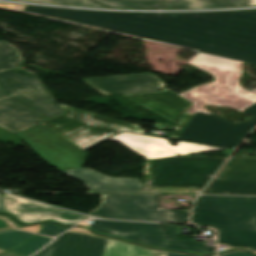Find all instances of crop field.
Here are the masks:
<instances>
[{"label":"crop field","mask_w":256,"mask_h":256,"mask_svg":"<svg viewBox=\"0 0 256 256\" xmlns=\"http://www.w3.org/2000/svg\"><path fill=\"white\" fill-rule=\"evenodd\" d=\"M22 13L199 52L190 62L256 64V10L138 14L27 6Z\"/></svg>","instance_id":"obj_1"},{"label":"crop field","mask_w":256,"mask_h":256,"mask_svg":"<svg viewBox=\"0 0 256 256\" xmlns=\"http://www.w3.org/2000/svg\"><path fill=\"white\" fill-rule=\"evenodd\" d=\"M192 222L216 228L219 244L256 248V197L202 196Z\"/></svg>","instance_id":"obj_2"},{"label":"crop field","mask_w":256,"mask_h":256,"mask_svg":"<svg viewBox=\"0 0 256 256\" xmlns=\"http://www.w3.org/2000/svg\"><path fill=\"white\" fill-rule=\"evenodd\" d=\"M65 113L40 125L82 150H87L123 131L143 134L145 129L97 114L60 105Z\"/></svg>","instance_id":"obj_3"},{"label":"crop field","mask_w":256,"mask_h":256,"mask_svg":"<svg viewBox=\"0 0 256 256\" xmlns=\"http://www.w3.org/2000/svg\"><path fill=\"white\" fill-rule=\"evenodd\" d=\"M70 231V230H69ZM34 256H196L146 249L140 246L100 237L83 228L54 239Z\"/></svg>","instance_id":"obj_4"},{"label":"crop field","mask_w":256,"mask_h":256,"mask_svg":"<svg viewBox=\"0 0 256 256\" xmlns=\"http://www.w3.org/2000/svg\"><path fill=\"white\" fill-rule=\"evenodd\" d=\"M101 194V205L88 215L117 220L184 223L190 211L159 208L160 194L87 192Z\"/></svg>","instance_id":"obj_5"},{"label":"crop field","mask_w":256,"mask_h":256,"mask_svg":"<svg viewBox=\"0 0 256 256\" xmlns=\"http://www.w3.org/2000/svg\"><path fill=\"white\" fill-rule=\"evenodd\" d=\"M226 158L169 157L149 160L151 184L165 187L204 188Z\"/></svg>","instance_id":"obj_6"},{"label":"crop field","mask_w":256,"mask_h":256,"mask_svg":"<svg viewBox=\"0 0 256 256\" xmlns=\"http://www.w3.org/2000/svg\"><path fill=\"white\" fill-rule=\"evenodd\" d=\"M87 225L93 230L106 235L121 237L124 239L174 250L209 253L215 251V247H206V242H196L192 239L178 240L175 225L163 224L169 235V239L161 228L160 224L123 222L109 220H93Z\"/></svg>","instance_id":"obj_7"},{"label":"crop field","mask_w":256,"mask_h":256,"mask_svg":"<svg viewBox=\"0 0 256 256\" xmlns=\"http://www.w3.org/2000/svg\"><path fill=\"white\" fill-rule=\"evenodd\" d=\"M190 64L214 74L216 80L210 84L199 86L183 95L180 94L193 102L188 113L195 114L196 111L209 113L202 105H226L242 111L256 102V94L246 92L239 87L243 63L237 62L234 72L210 66Z\"/></svg>","instance_id":"obj_8"},{"label":"crop field","mask_w":256,"mask_h":256,"mask_svg":"<svg viewBox=\"0 0 256 256\" xmlns=\"http://www.w3.org/2000/svg\"><path fill=\"white\" fill-rule=\"evenodd\" d=\"M243 112L252 117L240 124H234L218 116L196 112L178 139L219 147L238 146L249 130L256 125V103L244 109Z\"/></svg>","instance_id":"obj_9"},{"label":"crop field","mask_w":256,"mask_h":256,"mask_svg":"<svg viewBox=\"0 0 256 256\" xmlns=\"http://www.w3.org/2000/svg\"><path fill=\"white\" fill-rule=\"evenodd\" d=\"M0 86L11 98L51 119L63 111L31 71L11 69L0 72Z\"/></svg>","instance_id":"obj_10"},{"label":"crop field","mask_w":256,"mask_h":256,"mask_svg":"<svg viewBox=\"0 0 256 256\" xmlns=\"http://www.w3.org/2000/svg\"><path fill=\"white\" fill-rule=\"evenodd\" d=\"M17 135L58 170L82 167L88 154L39 124Z\"/></svg>","instance_id":"obj_11"},{"label":"crop field","mask_w":256,"mask_h":256,"mask_svg":"<svg viewBox=\"0 0 256 256\" xmlns=\"http://www.w3.org/2000/svg\"><path fill=\"white\" fill-rule=\"evenodd\" d=\"M41 3L125 8L194 9L256 6V0H22Z\"/></svg>","instance_id":"obj_12"},{"label":"crop field","mask_w":256,"mask_h":256,"mask_svg":"<svg viewBox=\"0 0 256 256\" xmlns=\"http://www.w3.org/2000/svg\"><path fill=\"white\" fill-rule=\"evenodd\" d=\"M141 106L175 122L177 125L172 127L167 124L156 123L154 128L162 130H174L170 138L177 139L182 130L193 117L186 113L190 107V101L180 97L174 92L164 88L162 92L128 94L124 95Z\"/></svg>","instance_id":"obj_13"},{"label":"crop field","mask_w":256,"mask_h":256,"mask_svg":"<svg viewBox=\"0 0 256 256\" xmlns=\"http://www.w3.org/2000/svg\"><path fill=\"white\" fill-rule=\"evenodd\" d=\"M203 194L256 195V157H231Z\"/></svg>","instance_id":"obj_14"},{"label":"crop field","mask_w":256,"mask_h":256,"mask_svg":"<svg viewBox=\"0 0 256 256\" xmlns=\"http://www.w3.org/2000/svg\"><path fill=\"white\" fill-rule=\"evenodd\" d=\"M110 140H116L133 150L145 159L169 157L181 154L196 153L221 148L178 141L171 146L167 139L123 132Z\"/></svg>","instance_id":"obj_15"},{"label":"crop field","mask_w":256,"mask_h":256,"mask_svg":"<svg viewBox=\"0 0 256 256\" xmlns=\"http://www.w3.org/2000/svg\"><path fill=\"white\" fill-rule=\"evenodd\" d=\"M6 209L23 223L53 220L63 225L72 224L89 218L86 215L58 209L23 198L6 194L3 196Z\"/></svg>","instance_id":"obj_16"},{"label":"crop field","mask_w":256,"mask_h":256,"mask_svg":"<svg viewBox=\"0 0 256 256\" xmlns=\"http://www.w3.org/2000/svg\"><path fill=\"white\" fill-rule=\"evenodd\" d=\"M103 94L117 95L162 91L165 84L152 73L82 80Z\"/></svg>","instance_id":"obj_17"},{"label":"crop field","mask_w":256,"mask_h":256,"mask_svg":"<svg viewBox=\"0 0 256 256\" xmlns=\"http://www.w3.org/2000/svg\"><path fill=\"white\" fill-rule=\"evenodd\" d=\"M62 173L83 182L90 191L140 192L142 187L138 179L107 177L89 168L66 170Z\"/></svg>","instance_id":"obj_18"},{"label":"crop field","mask_w":256,"mask_h":256,"mask_svg":"<svg viewBox=\"0 0 256 256\" xmlns=\"http://www.w3.org/2000/svg\"><path fill=\"white\" fill-rule=\"evenodd\" d=\"M47 121L6 96L0 88V125L17 133L37 123Z\"/></svg>","instance_id":"obj_19"},{"label":"crop field","mask_w":256,"mask_h":256,"mask_svg":"<svg viewBox=\"0 0 256 256\" xmlns=\"http://www.w3.org/2000/svg\"><path fill=\"white\" fill-rule=\"evenodd\" d=\"M22 63L18 49L0 41V71L18 67Z\"/></svg>","instance_id":"obj_20"},{"label":"crop field","mask_w":256,"mask_h":256,"mask_svg":"<svg viewBox=\"0 0 256 256\" xmlns=\"http://www.w3.org/2000/svg\"><path fill=\"white\" fill-rule=\"evenodd\" d=\"M34 234L25 233L21 231H12L0 234V249L10 250L16 245L26 241ZM34 237V236H33Z\"/></svg>","instance_id":"obj_21"},{"label":"crop field","mask_w":256,"mask_h":256,"mask_svg":"<svg viewBox=\"0 0 256 256\" xmlns=\"http://www.w3.org/2000/svg\"><path fill=\"white\" fill-rule=\"evenodd\" d=\"M51 240V238L38 235L37 237L29 240L28 242L12 250L11 252L17 253L22 256H29Z\"/></svg>","instance_id":"obj_22"},{"label":"crop field","mask_w":256,"mask_h":256,"mask_svg":"<svg viewBox=\"0 0 256 256\" xmlns=\"http://www.w3.org/2000/svg\"><path fill=\"white\" fill-rule=\"evenodd\" d=\"M201 190L202 189L150 187V189H142L141 192L196 194L199 193Z\"/></svg>","instance_id":"obj_23"},{"label":"crop field","mask_w":256,"mask_h":256,"mask_svg":"<svg viewBox=\"0 0 256 256\" xmlns=\"http://www.w3.org/2000/svg\"><path fill=\"white\" fill-rule=\"evenodd\" d=\"M42 226H43V228H42L40 234H44L47 236H56V235L62 233L63 231L69 229V228L60 227L54 223H45V224H42Z\"/></svg>","instance_id":"obj_24"},{"label":"crop field","mask_w":256,"mask_h":256,"mask_svg":"<svg viewBox=\"0 0 256 256\" xmlns=\"http://www.w3.org/2000/svg\"><path fill=\"white\" fill-rule=\"evenodd\" d=\"M20 227H24V226L15 223L13 220L8 218L7 216L0 215V231L16 229Z\"/></svg>","instance_id":"obj_25"},{"label":"crop field","mask_w":256,"mask_h":256,"mask_svg":"<svg viewBox=\"0 0 256 256\" xmlns=\"http://www.w3.org/2000/svg\"><path fill=\"white\" fill-rule=\"evenodd\" d=\"M25 7L26 6H22V5H12V4H1L0 3V8L14 10V11H18V12H22Z\"/></svg>","instance_id":"obj_26"},{"label":"crop field","mask_w":256,"mask_h":256,"mask_svg":"<svg viewBox=\"0 0 256 256\" xmlns=\"http://www.w3.org/2000/svg\"><path fill=\"white\" fill-rule=\"evenodd\" d=\"M219 256H254V255L248 254L243 251H237V252L227 253Z\"/></svg>","instance_id":"obj_27"},{"label":"crop field","mask_w":256,"mask_h":256,"mask_svg":"<svg viewBox=\"0 0 256 256\" xmlns=\"http://www.w3.org/2000/svg\"><path fill=\"white\" fill-rule=\"evenodd\" d=\"M40 226L36 225V226H31V227H25V228H21L22 230L25 231H29V232H34V233H38V231L40 230Z\"/></svg>","instance_id":"obj_28"},{"label":"crop field","mask_w":256,"mask_h":256,"mask_svg":"<svg viewBox=\"0 0 256 256\" xmlns=\"http://www.w3.org/2000/svg\"><path fill=\"white\" fill-rule=\"evenodd\" d=\"M0 211H6L1 192H0Z\"/></svg>","instance_id":"obj_29"},{"label":"crop field","mask_w":256,"mask_h":256,"mask_svg":"<svg viewBox=\"0 0 256 256\" xmlns=\"http://www.w3.org/2000/svg\"><path fill=\"white\" fill-rule=\"evenodd\" d=\"M0 256H18V255L8 252V253L2 254Z\"/></svg>","instance_id":"obj_30"},{"label":"crop field","mask_w":256,"mask_h":256,"mask_svg":"<svg viewBox=\"0 0 256 256\" xmlns=\"http://www.w3.org/2000/svg\"><path fill=\"white\" fill-rule=\"evenodd\" d=\"M248 250H250V251L256 253V249H248Z\"/></svg>","instance_id":"obj_31"},{"label":"crop field","mask_w":256,"mask_h":256,"mask_svg":"<svg viewBox=\"0 0 256 256\" xmlns=\"http://www.w3.org/2000/svg\"><path fill=\"white\" fill-rule=\"evenodd\" d=\"M147 165H148V161H147V164H146V169H147ZM145 174H150V173H146V171H145Z\"/></svg>","instance_id":"obj_32"},{"label":"crop field","mask_w":256,"mask_h":256,"mask_svg":"<svg viewBox=\"0 0 256 256\" xmlns=\"http://www.w3.org/2000/svg\"><path fill=\"white\" fill-rule=\"evenodd\" d=\"M4 252H6V251L0 250V254H1V253H4Z\"/></svg>","instance_id":"obj_33"}]
</instances>
